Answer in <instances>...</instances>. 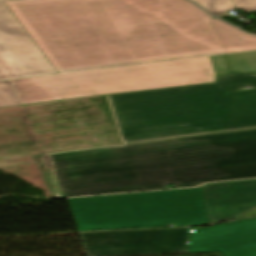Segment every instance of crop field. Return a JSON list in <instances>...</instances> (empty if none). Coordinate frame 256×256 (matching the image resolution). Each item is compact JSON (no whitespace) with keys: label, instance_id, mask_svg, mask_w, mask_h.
Listing matches in <instances>:
<instances>
[{"label":"crop field","instance_id":"crop-field-1","mask_svg":"<svg viewBox=\"0 0 256 256\" xmlns=\"http://www.w3.org/2000/svg\"><path fill=\"white\" fill-rule=\"evenodd\" d=\"M57 73L256 50L187 0L4 2Z\"/></svg>","mask_w":256,"mask_h":256},{"label":"crop field","instance_id":"crop-field-2","mask_svg":"<svg viewBox=\"0 0 256 256\" xmlns=\"http://www.w3.org/2000/svg\"><path fill=\"white\" fill-rule=\"evenodd\" d=\"M53 198L256 177V129L30 156Z\"/></svg>","mask_w":256,"mask_h":256},{"label":"crop field","instance_id":"crop-field-3","mask_svg":"<svg viewBox=\"0 0 256 256\" xmlns=\"http://www.w3.org/2000/svg\"><path fill=\"white\" fill-rule=\"evenodd\" d=\"M256 74L216 83L106 95L122 144L256 127Z\"/></svg>","mask_w":256,"mask_h":256},{"label":"crop field","instance_id":"crop-field-4","mask_svg":"<svg viewBox=\"0 0 256 256\" xmlns=\"http://www.w3.org/2000/svg\"><path fill=\"white\" fill-rule=\"evenodd\" d=\"M211 58L85 71L10 81L21 105L101 94L212 83Z\"/></svg>","mask_w":256,"mask_h":256},{"label":"crop field","instance_id":"crop-field-5","mask_svg":"<svg viewBox=\"0 0 256 256\" xmlns=\"http://www.w3.org/2000/svg\"><path fill=\"white\" fill-rule=\"evenodd\" d=\"M67 200L79 231L208 223L202 188Z\"/></svg>","mask_w":256,"mask_h":256},{"label":"crop field","instance_id":"crop-field-6","mask_svg":"<svg viewBox=\"0 0 256 256\" xmlns=\"http://www.w3.org/2000/svg\"><path fill=\"white\" fill-rule=\"evenodd\" d=\"M79 234L86 256L187 253L188 228Z\"/></svg>","mask_w":256,"mask_h":256},{"label":"crop field","instance_id":"crop-field-7","mask_svg":"<svg viewBox=\"0 0 256 256\" xmlns=\"http://www.w3.org/2000/svg\"><path fill=\"white\" fill-rule=\"evenodd\" d=\"M56 73L3 2H0V80Z\"/></svg>","mask_w":256,"mask_h":256},{"label":"crop field","instance_id":"crop-field-8","mask_svg":"<svg viewBox=\"0 0 256 256\" xmlns=\"http://www.w3.org/2000/svg\"><path fill=\"white\" fill-rule=\"evenodd\" d=\"M256 256V218L189 232L188 253Z\"/></svg>","mask_w":256,"mask_h":256},{"label":"crop field","instance_id":"crop-field-9","mask_svg":"<svg viewBox=\"0 0 256 256\" xmlns=\"http://www.w3.org/2000/svg\"><path fill=\"white\" fill-rule=\"evenodd\" d=\"M209 224L256 216V179L211 183L203 186ZM250 212V211H249Z\"/></svg>","mask_w":256,"mask_h":256},{"label":"crop field","instance_id":"crop-field-10","mask_svg":"<svg viewBox=\"0 0 256 256\" xmlns=\"http://www.w3.org/2000/svg\"><path fill=\"white\" fill-rule=\"evenodd\" d=\"M231 72H256V51L226 55Z\"/></svg>","mask_w":256,"mask_h":256},{"label":"crop field","instance_id":"crop-field-11","mask_svg":"<svg viewBox=\"0 0 256 256\" xmlns=\"http://www.w3.org/2000/svg\"><path fill=\"white\" fill-rule=\"evenodd\" d=\"M213 15L218 16L235 9L230 0H193Z\"/></svg>","mask_w":256,"mask_h":256},{"label":"crop field","instance_id":"crop-field-12","mask_svg":"<svg viewBox=\"0 0 256 256\" xmlns=\"http://www.w3.org/2000/svg\"><path fill=\"white\" fill-rule=\"evenodd\" d=\"M20 105L9 81L0 82V107Z\"/></svg>","mask_w":256,"mask_h":256},{"label":"crop field","instance_id":"crop-field-13","mask_svg":"<svg viewBox=\"0 0 256 256\" xmlns=\"http://www.w3.org/2000/svg\"><path fill=\"white\" fill-rule=\"evenodd\" d=\"M217 75L229 73L224 56L211 57Z\"/></svg>","mask_w":256,"mask_h":256},{"label":"crop field","instance_id":"crop-field-14","mask_svg":"<svg viewBox=\"0 0 256 256\" xmlns=\"http://www.w3.org/2000/svg\"><path fill=\"white\" fill-rule=\"evenodd\" d=\"M242 11L256 10V0H231Z\"/></svg>","mask_w":256,"mask_h":256},{"label":"crop field","instance_id":"crop-field-15","mask_svg":"<svg viewBox=\"0 0 256 256\" xmlns=\"http://www.w3.org/2000/svg\"><path fill=\"white\" fill-rule=\"evenodd\" d=\"M0 1H7V0H0Z\"/></svg>","mask_w":256,"mask_h":256}]
</instances>
